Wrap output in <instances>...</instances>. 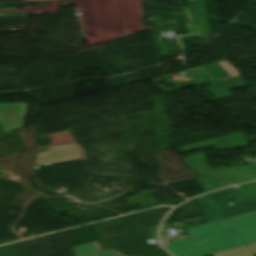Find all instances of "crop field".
Returning a JSON list of instances; mask_svg holds the SVG:
<instances>
[{"label": "crop field", "instance_id": "crop-field-1", "mask_svg": "<svg viewBox=\"0 0 256 256\" xmlns=\"http://www.w3.org/2000/svg\"><path fill=\"white\" fill-rule=\"evenodd\" d=\"M193 239L162 244L175 256H199L256 241V211L190 228Z\"/></svg>", "mask_w": 256, "mask_h": 256}, {"label": "crop field", "instance_id": "crop-field-2", "mask_svg": "<svg viewBox=\"0 0 256 256\" xmlns=\"http://www.w3.org/2000/svg\"><path fill=\"white\" fill-rule=\"evenodd\" d=\"M184 160L193 172L200 175L196 180L204 192L256 179V164L228 170H216L206 165L203 152L186 157ZM214 182L218 184H212Z\"/></svg>", "mask_w": 256, "mask_h": 256}, {"label": "crop field", "instance_id": "crop-field-3", "mask_svg": "<svg viewBox=\"0 0 256 256\" xmlns=\"http://www.w3.org/2000/svg\"><path fill=\"white\" fill-rule=\"evenodd\" d=\"M235 191L239 201L235 202L233 206H230L229 203V189L207 194V197L217 205L224 218L256 210V182L248 183Z\"/></svg>", "mask_w": 256, "mask_h": 256}, {"label": "crop field", "instance_id": "crop-field-4", "mask_svg": "<svg viewBox=\"0 0 256 256\" xmlns=\"http://www.w3.org/2000/svg\"><path fill=\"white\" fill-rule=\"evenodd\" d=\"M203 68L221 82V84L215 82L210 83L217 100L231 98L232 95L229 90L245 87L239 76L240 73L227 61L214 63L209 66H204Z\"/></svg>", "mask_w": 256, "mask_h": 256}, {"label": "crop field", "instance_id": "crop-field-5", "mask_svg": "<svg viewBox=\"0 0 256 256\" xmlns=\"http://www.w3.org/2000/svg\"><path fill=\"white\" fill-rule=\"evenodd\" d=\"M27 115V103L0 104V132L20 129Z\"/></svg>", "mask_w": 256, "mask_h": 256}, {"label": "crop field", "instance_id": "crop-field-6", "mask_svg": "<svg viewBox=\"0 0 256 256\" xmlns=\"http://www.w3.org/2000/svg\"><path fill=\"white\" fill-rule=\"evenodd\" d=\"M185 13L189 35L208 34L202 0L189 1Z\"/></svg>", "mask_w": 256, "mask_h": 256}, {"label": "crop field", "instance_id": "crop-field-7", "mask_svg": "<svg viewBox=\"0 0 256 256\" xmlns=\"http://www.w3.org/2000/svg\"><path fill=\"white\" fill-rule=\"evenodd\" d=\"M80 151L72 144L62 145L49 148V151L36 153L35 166L67 161L80 158L78 153ZM51 153V155H48Z\"/></svg>", "mask_w": 256, "mask_h": 256}, {"label": "crop field", "instance_id": "crop-field-8", "mask_svg": "<svg viewBox=\"0 0 256 256\" xmlns=\"http://www.w3.org/2000/svg\"><path fill=\"white\" fill-rule=\"evenodd\" d=\"M24 148L17 131L0 135V155Z\"/></svg>", "mask_w": 256, "mask_h": 256}, {"label": "crop field", "instance_id": "crop-field-9", "mask_svg": "<svg viewBox=\"0 0 256 256\" xmlns=\"http://www.w3.org/2000/svg\"><path fill=\"white\" fill-rule=\"evenodd\" d=\"M196 201L208 222L223 218L211 199L205 196H202V197L196 198Z\"/></svg>", "mask_w": 256, "mask_h": 256}, {"label": "crop field", "instance_id": "crop-field-10", "mask_svg": "<svg viewBox=\"0 0 256 256\" xmlns=\"http://www.w3.org/2000/svg\"><path fill=\"white\" fill-rule=\"evenodd\" d=\"M93 244L97 251H99L100 253H102L106 256H119L113 252L99 250L98 247L96 246L95 242H93ZM72 249L75 252L76 256H103L94 251V248L91 243L74 246V247H72Z\"/></svg>", "mask_w": 256, "mask_h": 256}, {"label": "crop field", "instance_id": "crop-field-11", "mask_svg": "<svg viewBox=\"0 0 256 256\" xmlns=\"http://www.w3.org/2000/svg\"><path fill=\"white\" fill-rule=\"evenodd\" d=\"M214 256H252L247 247L227 251L219 254H215Z\"/></svg>", "mask_w": 256, "mask_h": 256}, {"label": "crop field", "instance_id": "crop-field-12", "mask_svg": "<svg viewBox=\"0 0 256 256\" xmlns=\"http://www.w3.org/2000/svg\"><path fill=\"white\" fill-rule=\"evenodd\" d=\"M250 250L252 251L253 255L256 254V244L249 246Z\"/></svg>", "mask_w": 256, "mask_h": 256}, {"label": "crop field", "instance_id": "crop-field-13", "mask_svg": "<svg viewBox=\"0 0 256 256\" xmlns=\"http://www.w3.org/2000/svg\"><path fill=\"white\" fill-rule=\"evenodd\" d=\"M1 134V133H0Z\"/></svg>", "mask_w": 256, "mask_h": 256}]
</instances>
